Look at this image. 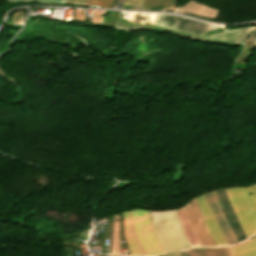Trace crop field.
Masks as SVG:
<instances>
[{"label": "crop field", "instance_id": "obj_1", "mask_svg": "<svg viewBox=\"0 0 256 256\" xmlns=\"http://www.w3.org/2000/svg\"><path fill=\"white\" fill-rule=\"evenodd\" d=\"M203 195L211 209V212L219 226V229H220L227 245L238 242V239H237L235 233L233 232L228 220L225 217L226 215L223 213L224 210L219 202V199L217 197L215 190L210 191V192H205V193H203ZM203 195L201 194V195L195 197V199L201 208L204 221H205L216 245L225 244Z\"/></svg>", "mask_w": 256, "mask_h": 256}, {"label": "crop field", "instance_id": "obj_2", "mask_svg": "<svg viewBox=\"0 0 256 256\" xmlns=\"http://www.w3.org/2000/svg\"><path fill=\"white\" fill-rule=\"evenodd\" d=\"M150 213L155 232L166 252L191 247L179 226L176 210Z\"/></svg>", "mask_w": 256, "mask_h": 256}, {"label": "crop field", "instance_id": "obj_3", "mask_svg": "<svg viewBox=\"0 0 256 256\" xmlns=\"http://www.w3.org/2000/svg\"><path fill=\"white\" fill-rule=\"evenodd\" d=\"M224 190L246 236L256 231V184L247 188L237 187Z\"/></svg>", "mask_w": 256, "mask_h": 256}, {"label": "crop field", "instance_id": "obj_4", "mask_svg": "<svg viewBox=\"0 0 256 256\" xmlns=\"http://www.w3.org/2000/svg\"><path fill=\"white\" fill-rule=\"evenodd\" d=\"M130 213L134 223L135 234L146 254L164 252L151 226L149 212L136 210L130 211ZM135 213L138 220L135 218Z\"/></svg>", "mask_w": 256, "mask_h": 256}, {"label": "crop field", "instance_id": "obj_5", "mask_svg": "<svg viewBox=\"0 0 256 256\" xmlns=\"http://www.w3.org/2000/svg\"><path fill=\"white\" fill-rule=\"evenodd\" d=\"M185 206L189 213L192 228H193L196 236L202 243V245H215L207 228H206V225L203 221L200 209H199L196 201L193 199L190 202H188L187 204H185Z\"/></svg>", "mask_w": 256, "mask_h": 256}, {"label": "crop field", "instance_id": "obj_6", "mask_svg": "<svg viewBox=\"0 0 256 256\" xmlns=\"http://www.w3.org/2000/svg\"><path fill=\"white\" fill-rule=\"evenodd\" d=\"M156 24L174 26L178 28L192 29V30H204L207 23L193 20L186 17H180L177 15H162L158 14L155 22Z\"/></svg>", "mask_w": 256, "mask_h": 256}, {"label": "crop field", "instance_id": "obj_7", "mask_svg": "<svg viewBox=\"0 0 256 256\" xmlns=\"http://www.w3.org/2000/svg\"><path fill=\"white\" fill-rule=\"evenodd\" d=\"M253 29L254 28H250L249 30H247L246 28H238V29L221 30V31L215 32L212 39L242 43L244 38Z\"/></svg>", "mask_w": 256, "mask_h": 256}, {"label": "crop field", "instance_id": "obj_8", "mask_svg": "<svg viewBox=\"0 0 256 256\" xmlns=\"http://www.w3.org/2000/svg\"><path fill=\"white\" fill-rule=\"evenodd\" d=\"M200 251V253L198 252ZM188 256H230L229 248H198L187 252Z\"/></svg>", "mask_w": 256, "mask_h": 256}, {"label": "crop field", "instance_id": "obj_9", "mask_svg": "<svg viewBox=\"0 0 256 256\" xmlns=\"http://www.w3.org/2000/svg\"><path fill=\"white\" fill-rule=\"evenodd\" d=\"M125 236L130 253L142 254L132 235L130 218L128 212H124Z\"/></svg>", "mask_w": 256, "mask_h": 256}, {"label": "crop field", "instance_id": "obj_10", "mask_svg": "<svg viewBox=\"0 0 256 256\" xmlns=\"http://www.w3.org/2000/svg\"><path fill=\"white\" fill-rule=\"evenodd\" d=\"M233 256H256V238L232 248Z\"/></svg>", "mask_w": 256, "mask_h": 256}, {"label": "crop field", "instance_id": "obj_11", "mask_svg": "<svg viewBox=\"0 0 256 256\" xmlns=\"http://www.w3.org/2000/svg\"><path fill=\"white\" fill-rule=\"evenodd\" d=\"M112 0H89L87 4H99L100 7H109Z\"/></svg>", "mask_w": 256, "mask_h": 256}, {"label": "crop field", "instance_id": "obj_12", "mask_svg": "<svg viewBox=\"0 0 256 256\" xmlns=\"http://www.w3.org/2000/svg\"><path fill=\"white\" fill-rule=\"evenodd\" d=\"M144 0H125L123 5H142Z\"/></svg>", "mask_w": 256, "mask_h": 256}, {"label": "crop field", "instance_id": "obj_13", "mask_svg": "<svg viewBox=\"0 0 256 256\" xmlns=\"http://www.w3.org/2000/svg\"><path fill=\"white\" fill-rule=\"evenodd\" d=\"M86 1L87 0H65L64 2L85 4Z\"/></svg>", "mask_w": 256, "mask_h": 256}, {"label": "crop field", "instance_id": "obj_14", "mask_svg": "<svg viewBox=\"0 0 256 256\" xmlns=\"http://www.w3.org/2000/svg\"><path fill=\"white\" fill-rule=\"evenodd\" d=\"M249 38L253 42V44L256 45V32L252 34Z\"/></svg>", "mask_w": 256, "mask_h": 256}, {"label": "crop field", "instance_id": "obj_15", "mask_svg": "<svg viewBox=\"0 0 256 256\" xmlns=\"http://www.w3.org/2000/svg\"><path fill=\"white\" fill-rule=\"evenodd\" d=\"M163 256H181V255H180V252H178V253L169 254V255H163Z\"/></svg>", "mask_w": 256, "mask_h": 256}, {"label": "crop field", "instance_id": "obj_16", "mask_svg": "<svg viewBox=\"0 0 256 256\" xmlns=\"http://www.w3.org/2000/svg\"><path fill=\"white\" fill-rule=\"evenodd\" d=\"M107 256H116V255H107Z\"/></svg>", "mask_w": 256, "mask_h": 256}]
</instances>
